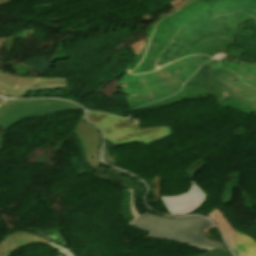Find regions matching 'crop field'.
I'll return each mask as SVG.
<instances>
[{
    "instance_id": "obj_16",
    "label": "crop field",
    "mask_w": 256,
    "mask_h": 256,
    "mask_svg": "<svg viewBox=\"0 0 256 256\" xmlns=\"http://www.w3.org/2000/svg\"><path fill=\"white\" fill-rule=\"evenodd\" d=\"M59 256V255H58Z\"/></svg>"
},
{
    "instance_id": "obj_10",
    "label": "crop field",
    "mask_w": 256,
    "mask_h": 256,
    "mask_svg": "<svg viewBox=\"0 0 256 256\" xmlns=\"http://www.w3.org/2000/svg\"><path fill=\"white\" fill-rule=\"evenodd\" d=\"M236 236L235 247L242 252L241 256H256V242L237 231Z\"/></svg>"
},
{
    "instance_id": "obj_3",
    "label": "crop field",
    "mask_w": 256,
    "mask_h": 256,
    "mask_svg": "<svg viewBox=\"0 0 256 256\" xmlns=\"http://www.w3.org/2000/svg\"><path fill=\"white\" fill-rule=\"evenodd\" d=\"M5 37H0V49ZM68 89L67 78L18 77L0 71V94L23 97L28 90Z\"/></svg>"
},
{
    "instance_id": "obj_9",
    "label": "crop field",
    "mask_w": 256,
    "mask_h": 256,
    "mask_svg": "<svg viewBox=\"0 0 256 256\" xmlns=\"http://www.w3.org/2000/svg\"><path fill=\"white\" fill-rule=\"evenodd\" d=\"M145 144L152 143L172 135L169 127L140 129L138 125H133Z\"/></svg>"
},
{
    "instance_id": "obj_4",
    "label": "crop field",
    "mask_w": 256,
    "mask_h": 256,
    "mask_svg": "<svg viewBox=\"0 0 256 256\" xmlns=\"http://www.w3.org/2000/svg\"><path fill=\"white\" fill-rule=\"evenodd\" d=\"M87 113L89 120L95 123L103 131L105 138L116 146L136 141L141 142L128 119L97 112Z\"/></svg>"
},
{
    "instance_id": "obj_1",
    "label": "crop field",
    "mask_w": 256,
    "mask_h": 256,
    "mask_svg": "<svg viewBox=\"0 0 256 256\" xmlns=\"http://www.w3.org/2000/svg\"><path fill=\"white\" fill-rule=\"evenodd\" d=\"M132 225L152 232L150 237L175 240L205 250L221 248L227 251L224 245L208 239L211 237L208 231L214 229V226L202 217L163 219L143 214L136 218Z\"/></svg>"
},
{
    "instance_id": "obj_7",
    "label": "crop field",
    "mask_w": 256,
    "mask_h": 256,
    "mask_svg": "<svg viewBox=\"0 0 256 256\" xmlns=\"http://www.w3.org/2000/svg\"><path fill=\"white\" fill-rule=\"evenodd\" d=\"M32 242H40L47 243L46 240L38 238L32 234L28 233H16L8 236L0 242V255L1 256H9V253L17 249L18 247L32 243Z\"/></svg>"
},
{
    "instance_id": "obj_14",
    "label": "crop field",
    "mask_w": 256,
    "mask_h": 256,
    "mask_svg": "<svg viewBox=\"0 0 256 256\" xmlns=\"http://www.w3.org/2000/svg\"><path fill=\"white\" fill-rule=\"evenodd\" d=\"M10 1H12V0H0V5L6 4V3L10 2Z\"/></svg>"
},
{
    "instance_id": "obj_15",
    "label": "crop field",
    "mask_w": 256,
    "mask_h": 256,
    "mask_svg": "<svg viewBox=\"0 0 256 256\" xmlns=\"http://www.w3.org/2000/svg\"><path fill=\"white\" fill-rule=\"evenodd\" d=\"M4 100L0 99V105L3 103Z\"/></svg>"
},
{
    "instance_id": "obj_6",
    "label": "crop field",
    "mask_w": 256,
    "mask_h": 256,
    "mask_svg": "<svg viewBox=\"0 0 256 256\" xmlns=\"http://www.w3.org/2000/svg\"><path fill=\"white\" fill-rule=\"evenodd\" d=\"M74 133L77 134L81 140L86 160L89 165L93 168L100 165L97 162L98 149L101 143V136L99 132L94 127L85 124L80 120Z\"/></svg>"
},
{
    "instance_id": "obj_11",
    "label": "crop field",
    "mask_w": 256,
    "mask_h": 256,
    "mask_svg": "<svg viewBox=\"0 0 256 256\" xmlns=\"http://www.w3.org/2000/svg\"><path fill=\"white\" fill-rule=\"evenodd\" d=\"M205 255L208 256H231L229 253L221 250V249H213L211 251H207Z\"/></svg>"
},
{
    "instance_id": "obj_8",
    "label": "crop field",
    "mask_w": 256,
    "mask_h": 256,
    "mask_svg": "<svg viewBox=\"0 0 256 256\" xmlns=\"http://www.w3.org/2000/svg\"><path fill=\"white\" fill-rule=\"evenodd\" d=\"M210 218L212 219L213 222L216 223L221 234L223 235L224 239L226 240L228 246H230L234 256H238L240 253L233 248V244L235 242L234 231L230 227L228 222L225 220L223 214L219 210L213 209V212H212Z\"/></svg>"
},
{
    "instance_id": "obj_5",
    "label": "crop field",
    "mask_w": 256,
    "mask_h": 256,
    "mask_svg": "<svg viewBox=\"0 0 256 256\" xmlns=\"http://www.w3.org/2000/svg\"><path fill=\"white\" fill-rule=\"evenodd\" d=\"M160 198L170 214L190 213L206 201V195L193 181L187 193L173 197L160 196Z\"/></svg>"
},
{
    "instance_id": "obj_12",
    "label": "crop field",
    "mask_w": 256,
    "mask_h": 256,
    "mask_svg": "<svg viewBox=\"0 0 256 256\" xmlns=\"http://www.w3.org/2000/svg\"><path fill=\"white\" fill-rule=\"evenodd\" d=\"M129 189L131 190V194H132V196H131V209H132L134 217L136 218V217L139 216V214L136 211L135 205H134V193H133V190L131 188H129ZM132 222H133V220L131 222H129V224H131Z\"/></svg>"
},
{
    "instance_id": "obj_13",
    "label": "crop field",
    "mask_w": 256,
    "mask_h": 256,
    "mask_svg": "<svg viewBox=\"0 0 256 256\" xmlns=\"http://www.w3.org/2000/svg\"><path fill=\"white\" fill-rule=\"evenodd\" d=\"M48 244H50V245L54 246L55 248H57L58 251L61 254H64L65 256H74L71 252H69V251H67V250H65V249H63V248H61V247H59V246H57V245H55V244H53L51 242H48Z\"/></svg>"
},
{
    "instance_id": "obj_2",
    "label": "crop field",
    "mask_w": 256,
    "mask_h": 256,
    "mask_svg": "<svg viewBox=\"0 0 256 256\" xmlns=\"http://www.w3.org/2000/svg\"><path fill=\"white\" fill-rule=\"evenodd\" d=\"M77 109L81 108L61 100L6 101L0 107V125L8 129L26 117Z\"/></svg>"
}]
</instances>
